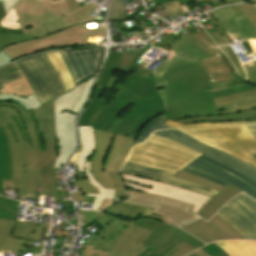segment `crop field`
Listing matches in <instances>:
<instances>
[{
    "instance_id": "obj_1",
    "label": "crop field",
    "mask_w": 256,
    "mask_h": 256,
    "mask_svg": "<svg viewBox=\"0 0 256 256\" xmlns=\"http://www.w3.org/2000/svg\"><path fill=\"white\" fill-rule=\"evenodd\" d=\"M171 46L173 54L148 71V63L139 59L150 48L147 43L126 83L113 77L108 89L117 91L114 100L99 98L104 88L97 87L79 125L137 139L142 128L163 112L172 121L215 116L213 98L256 89L238 77L223 53L198 61L221 52L205 31L183 36Z\"/></svg>"
},
{
    "instance_id": "obj_2",
    "label": "crop field",
    "mask_w": 256,
    "mask_h": 256,
    "mask_svg": "<svg viewBox=\"0 0 256 256\" xmlns=\"http://www.w3.org/2000/svg\"><path fill=\"white\" fill-rule=\"evenodd\" d=\"M94 77L33 110L45 146V153L39 152L37 158V191L52 195L54 202L69 197L67 193H57L53 168L59 169L76 146L75 117L89 95ZM62 203L64 208H72L70 201Z\"/></svg>"
},
{
    "instance_id": "obj_3",
    "label": "crop field",
    "mask_w": 256,
    "mask_h": 256,
    "mask_svg": "<svg viewBox=\"0 0 256 256\" xmlns=\"http://www.w3.org/2000/svg\"><path fill=\"white\" fill-rule=\"evenodd\" d=\"M0 126L9 143L12 161V180H16L18 196L37 200L35 165L38 151L44 152L41 134H37L32 111L13 103H0ZM33 206L39 207L38 202Z\"/></svg>"
},
{
    "instance_id": "obj_4",
    "label": "crop field",
    "mask_w": 256,
    "mask_h": 256,
    "mask_svg": "<svg viewBox=\"0 0 256 256\" xmlns=\"http://www.w3.org/2000/svg\"><path fill=\"white\" fill-rule=\"evenodd\" d=\"M129 197L104 210L130 220H137L146 207L154 209L157 203L184 211L193 217L212 198L189 189H183L166 183L121 173Z\"/></svg>"
},
{
    "instance_id": "obj_5",
    "label": "crop field",
    "mask_w": 256,
    "mask_h": 256,
    "mask_svg": "<svg viewBox=\"0 0 256 256\" xmlns=\"http://www.w3.org/2000/svg\"><path fill=\"white\" fill-rule=\"evenodd\" d=\"M91 3L73 12L66 0H20L0 21V32L34 34L38 38L79 23L90 22Z\"/></svg>"
},
{
    "instance_id": "obj_6",
    "label": "crop field",
    "mask_w": 256,
    "mask_h": 256,
    "mask_svg": "<svg viewBox=\"0 0 256 256\" xmlns=\"http://www.w3.org/2000/svg\"><path fill=\"white\" fill-rule=\"evenodd\" d=\"M95 136L96 149L89 159L91 172L104 188L115 189L114 197L124 199L126 191L118 172L135 139L100 131H95Z\"/></svg>"
},
{
    "instance_id": "obj_7",
    "label": "crop field",
    "mask_w": 256,
    "mask_h": 256,
    "mask_svg": "<svg viewBox=\"0 0 256 256\" xmlns=\"http://www.w3.org/2000/svg\"><path fill=\"white\" fill-rule=\"evenodd\" d=\"M130 225L131 227L123 234L111 256H137L147 246L156 251L174 234L183 238L196 248L205 245L174 226L152 219L131 222Z\"/></svg>"
},
{
    "instance_id": "obj_8",
    "label": "crop field",
    "mask_w": 256,
    "mask_h": 256,
    "mask_svg": "<svg viewBox=\"0 0 256 256\" xmlns=\"http://www.w3.org/2000/svg\"><path fill=\"white\" fill-rule=\"evenodd\" d=\"M199 155L183 145L152 134L147 141L134 146L127 161L176 172Z\"/></svg>"
},
{
    "instance_id": "obj_9",
    "label": "crop field",
    "mask_w": 256,
    "mask_h": 256,
    "mask_svg": "<svg viewBox=\"0 0 256 256\" xmlns=\"http://www.w3.org/2000/svg\"><path fill=\"white\" fill-rule=\"evenodd\" d=\"M105 34L106 30L103 27L86 30L84 24H80L40 39L9 45L2 51L10 56L12 60H15L45 48L101 43Z\"/></svg>"
},
{
    "instance_id": "obj_10",
    "label": "crop field",
    "mask_w": 256,
    "mask_h": 256,
    "mask_svg": "<svg viewBox=\"0 0 256 256\" xmlns=\"http://www.w3.org/2000/svg\"><path fill=\"white\" fill-rule=\"evenodd\" d=\"M181 131L256 166V157L251 153L256 150V139L246 126Z\"/></svg>"
},
{
    "instance_id": "obj_11",
    "label": "crop field",
    "mask_w": 256,
    "mask_h": 256,
    "mask_svg": "<svg viewBox=\"0 0 256 256\" xmlns=\"http://www.w3.org/2000/svg\"><path fill=\"white\" fill-rule=\"evenodd\" d=\"M15 64L23 72L41 105L66 93L59 71H55L45 53Z\"/></svg>"
},
{
    "instance_id": "obj_12",
    "label": "crop field",
    "mask_w": 256,
    "mask_h": 256,
    "mask_svg": "<svg viewBox=\"0 0 256 256\" xmlns=\"http://www.w3.org/2000/svg\"><path fill=\"white\" fill-rule=\"evenodd\" d=\"M182 170L224 186L230 183L256 200V183L253 180L202 154Z\"/></svg>"
},
{
    "instance_id": "obj_13",
    "label": "crop field",
    "mask_w": 256,
    "mask_h": 256,
    "mask_svg": "<svg viewBox=\"0 0 256 256\" xmlns=\"http://www.w3.org/2000/svg\"><path fill=\"white\" fill-rule=\"evenodd\" d=\"M78 214L83 215V217H80L83 223L82 228L96 222L102 227L100 231L97 232L96 238L92 244L95 246L94 249L109 250V252L113 253L122 234L130 227L129 221L112 215L82 210H79Z\"/></svg>"
},
{
    "instance_id": "obj_14",
    "label": "crop field",
    "mask_w": 256,
    "mask_h": 256,
    "mask_svg": "<svg viewBox=\"0 0 256 256\" xmlns=\"http://www.w3.org/2000/svg\"><path fill=\"white\" fill-rule=\"evenodd\" d=\"M154 134L171 139L177 143L183 144L188 148L199 151L243 174L250 177L256 182V167L252 164H247L246 162L213 147H210L194 137L182 133L178 130H168V131H157Z\"/></svg>"
},
{
    "instance_id": "obj_15",
    "label": "crop field",
    "mask_w": 256,
    "mask_h": 256,
    "mask_svg": "<svg viewBox=\"0 0 256 256\" xmlns=\"http://www.w3.org/2000/svg\"><path fill=\"white\" fill-rule=\"evenodd\" d=\"M244 194L236 196L217 214L234 226L246 239L256 240V202Z\"/></svg>"
},
{
    "instance_id": "obj_16",
    "label": "crop field",
    "mask_w": 256,
    "mask_h": 256,
    "mask_svg": "<svg viewBox=\"0 0 256 256\" xmlns=\"http://www.w3.org/2000/svg\"><path fill=\"white\" fill-rule=\"evenodd\" d=\"M70 70L74 86L97 74L104 48L92 47L81 50L59 51Z\"/></svg>"
},
{
    "instance_id": "obj_17",
    "label": "crop field",
    "mask_w": 256,
    "mask_h": 256,
    "mask_svg": "<svg viewBox=\"0 0 256 256\" xmlns=\"http://www.w3.org/2000/svg\"><path fill=\"white\" fill-rule=\"evenodd\" d=\"M79 137V151L70 161V163L78 164V171H85L88 180L91 181L90 183L99 189L100 195L86 194L87 196H96L92 210L97 211V209L102 204L105 198H110L117 201H119V199L113 198L114 190L104 189L91 175V162L87 160L91 157L95 149V137L93 128L79 126Z\"/></svg>"
},
{
    "instance_id": "obj_18",
    "label": "crop field",
    "mask_w": 256,
    "mask_h": 256,
    "mask_svg": "<svg viewBox=\"0 0 256 256\" xmlns=\"http://www.w3.org/2000/svg\"><path fill=\"white\" fill-rule=\"evenodd\" d=\"M182 229L207 243L222 239H244L242 234L217 214L208 223L198 219Z\"/></svg>"
},
{
    "instance_id": "obj_19",
    "label": "crop field",
    "mask_w": 256,
    "mask_h": 256,
    "mask_svg": "<svg viewBox=\"0 0 256 256\" xmlns=\"http://www.w3.org/2000/svg\"><path fill=\"white\" fill-rule=\"evenodd\" d=\"M229 38L242 39L256 37V31L238 6L212 12Z\"/></svg>"
},
{
    "instance_id": "obj_20",
    "label": "crop field",
    "mask_w": 256,
    "mask_h": 256,
    "mask_svg": "<svg viewBox=\"0 0 256 256\" xmlns=\"http://www.w3.org/2000/svg\"><path fill=\"white\" fill-rule=\"evenodd\" d=\"M121 172L131 173L150 179L160 180L162 182H166L183 188H189L212 196L218 193V191H215L213 189L205 188L195 183L170 176L171 174H173V172L145 167L128 162H125Z\"/></svg>"
},
{
    "instance_id": "obj_21",
    "label": "crop field",
    "mask_w": 256,
    "mask_h": 256,
    "mask_svg": "<svg viewBox=\"0 0 256 256\" xmlns=\"http://www.w3.org/2000/svg\"><path fill=\"white\" fill-rule=\"evenodd\" d=\"M216 116L256 109V90L214 99Z\"/></svg>"
},
{
    "instance_id": "obj_22",
    "label": "crop field",
    "mask_w": 256,
    "mask_h": 256,
    "mask_svg": "<svg viewBox=\"0 0 256 256\" xmlns=\"http://www.w3.org/2000/svg\"><path fill=\"white\" fill-rule=\"evenodd\" d=\"M137 56L135 53L110 52L97 86L106 88L115 70L128 74Z\"/></svg>"
},
{
    "instance_id": "obj_23",
    "label": "crop field",
    "mask_w": 256,
    "mask_h": 256,
    "mask_svg": "<svg viewBox=\"0 0 256 256\" xmlns=\"http://www.w3.org/2000/svg\"><path fill=\"white\" fill-rule=\"evenodd\" d=\"M15 221L0 220V252H16L18 256L26 247L23 246L25 240L9 237ZM6 242V244H5Z\"/></svg>"
},
{
    "instance_id": "obj_24",
    "label": "crop field",
    "mask_w": 256,
    "mask_h": 256,
    "mask_svg": "<svg viewBox=\"0 0 256 256\" xmlns=\"http://www.w3.org/2000/svg\"><path fill=\"white\" fill-rule=\"evenodd\" d=\"M242 191L236 189L235 187L228 185L225 189L220 191L215 195L198 213L205 220H209L213 214L231 198Z\"/></svg>"
},
{
    "instance_id": "obj_25",
    "label": "crop field",
    "mask_w": 256,
    "mask_h": 256,
    "mask_svg": "<svg viewBox=\"0 0 256 256\" xmlns=\"http://www.w3.org/2000/svg\"><path fill=\"white\" fill-rule=\"evenodd\" d=\"M217 245L226 250L231 256H256V241H218Z\"/></svg>"
},
{
    "instance_id": "obj_26",
    "label": "crop field",
    "mask_w": 256,
    "mask_h": 256,
    "mask_svg": "<svg viewBox=\"0 0 256 256\" xmlns=\"http://www.w3.org/2000/svg\"><path fill=\"white\" fill-rule=\"evenodd\" d=\"M256 119V110L245 111L241 113L219 116V117H194L187 118L183 120H177L175 122L182 125L197 123V122H229V121H242V120H255Z\"/></svg>"
},
{
    "instance_id": "obj_27",
    "label": "crop field",
    "mask_w": 256,
    "mask_h": 256,
    "mask_svg": "<svg viewBox=\"0 0 256 256\" xmlns=\"http://www.w3.org/2000/svg\"><path fill=\"white\" fill-rule=\"evenodd\" d=\"M41 224L34 223H25V222H16L12 237L24 238L33 241H37L42 231H48L50 225H46L45 229L40 228Z\"/></svg>"
},
{
    "instance_id": "obj_28",
    "label": "crop field",
    "mask_w": 256,
    "mask_h": 256,
    "mask_svg": "<svg viewBox=\"0 0 256 256\" xmlns=\"http://www.w3.org/2000/svg\"><path fill=\"white\" fill-rule=\"evenodd\" d=\"M1 180H11V162L7 140L0 127V195Z\"/></svg>"
},
{
    "instance_id": "obj_29",
    "label": "crop field",
    "mask_w": 256,
    "mask_h": 256,
    "mask_svg": "<svg viewBox=\"0 0 256 256\" xmlns=\"http://www.w3.org/2000/svg\"><path fill=\"white\" fill-rule=\"evenodd\" d=\"M22 74V72H21ZM23 76V74H22ZM6 88L0 89L3 94H12L18 95L22 97H28L33 95L34 93L30 89L27 81L25 80L24 76L22 79H17L11 82L4 84Z\"/></svg>"
},
{
    "instance_id": "obj_30",
    "label": "crop field",
    "mask_w": 256,
    "mask_h": 256,
    "mask_svg": "<svg viewBox=\"0 0 256 256\" xmlns=\"http://www.w3.org/2000/svg\"><path fill=\"white\" fill-rule=\"evenodd\" d=\"M47 55H48L50 61L55 66L56 70L59 69V71L62 75V79H63L66 91L74 88L71 78H70L69 71H68L65 63L63 62L60 54L58 53V51L48 52Z\"/></svg>"
},
{
    "instance_id": "obj_31",
    "label": "crop field",
    "mask_w": 256,
    "mask_h": 256,
    "mask_svg": "<svg viewBox=\"0 0 256 256\" xmlns=\"http://www.w3.org/2000/svg\"><path fill=\"white\" fill-rule=\"evenodd\" d=\"M166 121L167 120L164 118V114H161V115L155 117L151 122H149L143 128L141 134L139 135L138 139L136 140V143H140V142L145 141L147 139V137L153 131L162 130V129H171V127L164 124Z\"/></svg>"
},
{
    "instance_id": "obj_32",
    "label": "crop field",
    "mask_w": 256,
    "mask_h": 256,
    "mask_svg": "<svg viewBox=\"0 0 256 256\" xmlns=\"http://www.w3.org/2000/svg\"><path fill=\"white\" fill-rule=\"evenodd\" d=\"M0 102L17 103L21 105L26 110V112L41 106L37 98L35 97V95L28 98H22V97L12 96V95H0Z\"/></svg>"
},
{
    "instance_id": "obj_33",
    "label": "crop field",
    "mask_w": 256,
    "mask_h": 256,
    "mask_svg": "<svg viewBox=\"0 0 256 256\" xmlns=\"http://www.w3.org/2000/svg\"><path fill=\"white\" fill-rule=\"evenodd\" d=\"M18 202L0 196V219L15 220Z\"/></svg>"
},
{
    "instance_id": "obj_34",
    "label": "crop field",
    "mask_w": 256,
    "mask_h": 256,
    "mask_svg": "<svg viewBox=\"0 0 256 256\" xmlns=\"http://www.w3.org/2000/svg\"><path fill=\"white\" fill-rule=\"evenodd\" d=\"M172 176L179 177V178H182V179H185V180H189V181L195 182L197 184L203 185L205 187L216 189L218 191H220L221 189L224 188V186L218 185L216 183L207 181L205 179L199 178L197 176H194V175H191L189 173L182 172V171H179V172L173 174Z\"/></svg>"
},
{
    "instance_id": "obj_35",
    "label": "crop field",
    "mask_w": 256,
    "mask_h": 256,
    "mask_svg": "<svg viewBox=\"0 0 256 256\" xmlns=\"http://www.w3.org/2000/svg\"><path fill=\"white\" fill-rule=\"evenodd\" d=\"M72 183H75L79 189L78 191L72 193L75 201H84L85 193L99 194L97 188L92 186L89 181H79Z\"/></svg>"
},
{
    "instance_id": "obj_36",
    "label": "crop field",
    "mask_w": 256,
    "mask_h": 256,
    "mask_svg": "<svg viewBox=\"0 0 256 256\" xmlns=\"http://www.w3.org/2000/svg\"><path fill=\"white\" fill-rule=\"evenodd\" d=\"M123 0H111L109 4V20H125Z\"/></svg>"
},
{
    "instance_id": "obj_37",
    "label": "crop field",
    "mask_w": 256,
    "mask_h": 256,
    "mask_svg": "<svg viewBox=\"0 0 256 256\" xmlns=\"http://www.w3.org/2000/svg\"><path fill=\"white\" fill-rule=\"evenodd\" d=\"M35 38L37 37H35L34 35L24 36L17 34L0 33V51L9 44L27 41Z\"/></svg>"
},
{
    "instance_id": "obj_38",
    "label": "crop field",
    "mask_w": 256,
    "mask_h": 256,
    "mask_svg": "<svg viewBox=\"0 0 256 256\" xmlns=\"http://www.w3.org/2000/svg\"><path fill=\"white\" fill-rule=\"evenodd\" d=\"M182 240L183 239L174 235L165 245H163L156 252L147 247V249L140 256H162L163 254L171 250L173 247L178 245Z\"/></svg>"
},
{
    "instance_id": "obj_39",
    "label": "crop field",
    "mask_w": 256,
    "mask_h": 256,
    "mask_svg": "<svg viewBox=\"0 0 256 256\" xmlns=\"http://www.w3.org/2000/svg\"><path fill=\"white\" fill-rule=\"evenodd\" d=\"M166 124L174 127V128H197V127H214V126H231V125H246L251 124L248 121L243 122H229V123H197V124H190V125H179L177 123H174L170 120L166 122Z\"/></svg>"
},
{
    "instance_id": "obj_40",
    "label": "crop field",
    "mask_w": 256,
    "mask_h": 256,
    "mask_svg": "<svg viewBox=\"0 0 256 256\" xmlns=\"http://www.w3.org/2000/svg\"><path fill=\"white\" fill-rule=\"evenodd\" d=\"M211 25L214 27L216 31L209 32V35L216 42L218 46L222 44L231 43L226 33L224 32V30L221 28L220 24L217 21L211 22Z\"/></svg>"
},
{
    "instance_id": "obj_41",
    "label": "crop field",
    "mask_w": 256,
    "mask_h": 256,
    "mask_svg": "<svg viewBox=\"0 0 256 256\" xmlns=\"http://www.w3.org/2000/svg\"><path fill=\"white\" fill-rule=\"evenodd\" d=\"M193 247H191L186 242L182 241L178 246H176L174 249L166 253L164 256H185L186 254L194 251Z\"/></svg>"
},
{
    "instance_id": "obj_42",
    "label": "crop field",
    "mask_w": 256,
    "mask_h": 256,
    "mask_svg": "<svg viewBox=\"0 0 256 256\" xmlns=\"http://www.w3.org/2000/svg\"><path fill=\"white\" fill-rule=\"evenodd\" d=\"M239 8L246 15V17L251 21L254 28L256 29V5L255 4L240 5Z\"/></svg>"
},
{
    "instance_id": "obj_43",
    "label": "crop field",
    "mask_w": 256,
    "mask_h": 256,
    "mask_svg": "<svg viewBox=\"0 0 256 256\" xmlns=\"http://www.w3.org/2000/svg\"><path fill=\"white\" fill-rule=\"evenodd\" d=\"M221 49L226 53V55L229 57V59L233 62V64L236 66L240 76L242 78L246 77L244 74V71L239 63V61L237 60L236 56L234 55V53L231 51L230 48H228V46L225 47H221Z\"/></svg>"
},
{
    "instance_id": "obj_44",
    "label": "crop field",
    "mask_w": 256,
    "mask_h": 256,
    "mask_svg": "<svg viewBox=\"0 0 256 256\" xmlns=\"http://www.w3.org/2000/svg\"><path fill=\"white\" fill-rule=\"evenodd\" d=\"M201 249H203L205 252H207L210 256H229L220 247H218L214 243L206 245V246L202 247Z\"/></svg>"
},
{
    "instance_id": "obj_45",
    "label": "crop field",
    "mask_w": 256,
    "mask_h": 256,
    "mask_svg": "<svg viewBox=\"0 0 256 256\" xmlns=\"http://www.w3.org/2000/svg\"><path fill=\"white\" fill-rule=\"evenodd\" d=\"M93 246H85L83 255L80 256H110L108 251L93 250Z\"/></svg>"
},
{
    "instance_id": "obj_46",
    "label": "crop field",
    "mask_w": 256,
    "mask_h": 256,
    "mask_svg": "<svg viewBox=\"0 0 256 256\" xmlns=\"http://www.w3.org/2000/svg\"><path fill=\"white\" fill-rule=\"evenodd\" d=\"M247 69V76H248V81L252 83H256V64L255 63H250L245 65Z\"/></svg>"
},
{
    "instance_id": "obj_47",
    "label": "crop field",
    "mask_w": 256,
    "mask_h": 256,
    "mask_svg": "<svg viewBox=\"0 0 256 256\" xmlns=\"http://www.w3.org/2000/svg\"><path fill=\"white\" fill-rule=\"evenodd\" d=\"M17 78H22L21 75H20L19 70L16 71V72H13L11 74L0 77V88L4 87L3 84L5 82L11 81V80H14V79H17ZM0 94H1V92H0Z\"/></svg>"
},
{
    "instance_id": "obj_48",
    "label": "crop field",
    "mask_w": 256,
    "mask_h": 256,
    "mask_svg": "<svg viewBox=\"0 0 256 256\" xmlns=\"http://www.w3.org/2000/svg\"><path fill=\"white\" fill-rule=\"evenodd\" d=\"M156 4H165L167 2H171L172 0H154ZM180 4L190 3V2H204V1H219V0H178ZM251 1V0H248Z\"/></svg>"
},
{
    "instance_id": "obj_49",
    "label": "crop field",
    "mask_w": 256,
    "mask_h": 256,
    "mask_svg": "<svg viewBox=\"0 0 256 256\" xmlns=\"http://www.w3.org/2000/svg\"><path fill=\"white\" fill-rule=\"evenodd\" d=\"M18 1L19 0H2L5 14H7Z\"/></svg>"
},
{
    "instance_id": "obj_50",
    "label": "crop field",
    "mask_w": 256,
    "mask_h": 256,
    "mask_svg": "<svg viewBox=\"0 0 256 256\" xmlns=\"http://www.w3.org/2000/svg\"><path fill=\"white\" fill-rule=\"evenodd\" d=\"M16 70H17V68L13 64H11L5 68L0 69V76L8 74V73L16 71Z\"/></svg>"
},
{
    "instance_id": "obj_51",
    "label": "crop field",
    "mask_w": 256,
    "mask_h": 256,
    "mask_svg": "<svg viewBox=\"0 0 256 256\" xmlns=\"http://www.w3.org/2000/svg\"><path fill=\"white\" fill-rule=\"evenodd\" d=\"M12 61L8 56H6L2 51L0 52V66Z\"/></svg>"
},
{
    "instance_id": "obj_52",
    "label": "crop field",
    "mask_w": 256,
    "mask_h": 256,
    "mask_svg": "<svg viewBox=\"0 0 256 256\" xmlns=\"http://www.w3.org/2000/svg\"><path fill=\"white\" fill-rule=\"evenodd\" d=\"M117 201L114 200H110V199H105V201L103 202V204L100 206V208L98 209V211H101L103 209H105L107 206H109L112 203H115Z\"/></svg>"
},
{
    "instance_id": "obj_53",
    "label": "crop field",
    "mask_w": 256,
    "mask_h": 256,
    "mask_svg": "<svg viewBox=\"0 0 256 256\" xmlns=\"http://www.w3.org/2000/svg\"><path fill=\"white\" fill-rule=\"evenodd\" d=\"M67 2H68L72 11L75 10V9L80 8L79 4L75 0H67Z\"/></svg>"
},
{
    "instance_id": "obj_54",
    "label": "crop field",
    "mask_w": 256,
    "mask_h": 256,
    "mask_svg": "<svg viewBox=\"0 0 256 256\" xmlns=\"http://www.w3.org/2000/svg\"><path fill=\"white\" fill-rule=\"evenodd\" d=\"M195 254H197L198 256H209L208 254H206L204 251H202L201 249L193 252Z\"/></svg>"
},
{
    "instance_id": "obj_55",
    "label": "crop field",
    "mask_w": 256,
    "mask_h": 256,
    "mask_svg": "<svg viewBox=\"0 0 256 256\" xmlns=\"http://www.w3.org/2000/svg\"><path fill=\"white\" fill-rule=\"evenodd\" d=\"M5 16L2 2L0 1V20Z\"/></svg>"
},
{
    "instance_id": "obj_56",
    "label": "crop field",
    "mask_w": 256,
    "mask_h": 256,
    "mask_svg": "<svg viewBox=\"0 0 256 256\" xmlns=\"http://www.w3.org/2000/svg\"><path fill=\"white\" fill-rule=\"evenodd\" d=\"M251 133L253 134L254 137H256V127L248 126Z\"/></svg>"
},
{
    "instance_id": "obj_57",
    "label": "crop field",
    "mask_w": 256,
    "mask_h": 256,
    "mask_svg": "<svg viewBox=\"0 0 256 256\" xmlns=\"http://www.w3.org/2000/svg\"><path fill=\"white\" fill-rule=\"evenodd\" d=\"M251 123H252L253 125H256V120H255V121H251Z\"/></svg>"
},
{
    "instance_id": "obj_58",
    "label": "crop field",
    "mask_w": 256,
    "mask_h": 256,
    "mask_svg": "<svg viewBox=\"0 0 256 256\" xmlns=\"http://www.w3.org/2000/svg\"><path fill=\"white\" fill-rule=\"evenodd\" d=\"M195 254H193V253H191V254H189V255H187V256H194Z\"/></svg>"
},
{
    "instance_id": "obj_59",
    "label": "crop field",
    "mask_w": 256,
    "mask_h": 256,
    "mask_svg": "<svg viewBox=\"0 0 256 256\" xmlns=\"http://www.w3.org/2000/svg\"><path fill=\"white\" fill-rule=\"evenodd\" d=\"M253 154L256 156V151H255V152H253Z\"/></svg>"
},
{
    "instance_id": "obj_60",
    "label": "crop field",
    "mask_w": 256,
    "mask_h": 256,
    "mask_svg": "<svg viewBox=\"0 0 256 256\" xmlns=\"http://www.w3.org/2000/svg\"><path fill=\"white\" fill-rule=\"evenodd\" d=\"M68 184L70 185V182Z\"/></svg>"
},
{
    "instance_id": "obj_61",
    "label": "crop field",
    "mask_w": 256,
    "mask_h": 256,
    "mask_svg": "<svg viewBox=\"0 0 256 256\" xmlns=\"http://www.w3.org/2000/svg\"><path fill=\"white\" fill-rule=\"evenodd\" d=\"M196 256V255H195Z\"/></svg>"
}]
</instances>
